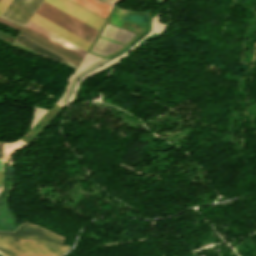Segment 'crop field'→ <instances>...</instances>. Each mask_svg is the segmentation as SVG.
I'll use <instances>...</instances> for the list:
<instances>
[{
	"instance_id": "8a807250",
	"label": "crop field",
	"mask_w": 256,
	"mask_h": 256,
	"mask_svg": "<svg viewBox=\"0 0 256 256\" xmlns=\"http://www.w3.org/2000/svg\"><path fill=\"white\" fill-rule=\"evenodd\" d=\"M57 235L22 222L18 233L0 232V251L6 256H60L68 247Z\"/></svg>"
},
{
	"instance_id": "ac0d7876",
	"label": "crop field",
	"mask_w": 256,
	"mask_h": 256,
	"mask_svg": "<svg viewBox=\"0 0 256 256\" xmlns=\"http://www.w3.org/2000/svg\"><path fill=\"white\" fill-rule=\"evenodd\" d=\"M35 13L91 43L98 31L44 1Z\"/></svg>"
},
{
	"instance_id": "34b2d1b8",
	"label": "crop field",
	"mask_w": 256,
	"mask_h": 256,
	"mask_svg": "<svg viewBox=\"0 0 256 256\" xmlns=\"http://www.w3.org/2000/svg\"><path fill=\"white\" fill-rule=\"evenodd\" d=\"M136 33L120 29L111 25H106L105 29L101 33V36H104L106 38L112 39L114 41L120 42L124 44L126 41H128L131 37H133ZM121 45L103 40L98 38L95 45L91 49V52L100 54V55H108L111 52L118 49Z\"/></svg>"
},
{
	"instance_id": "412701ff",
	"label": "crop field",
	"mask_w": 256,
	"mask_h": 256,
	"mask_svg": "<svg viewBox=\"0 0 256 256\" xmlns=\"http://www.w3.org/2000/svg\"><path fill=\"white\" fill-rule=\"evenodd\" d=\"M42 0H12L1 17L21 26L27 22Z\"/></svg>"
},
{
	"instance_id": "f4fd0767",
	"label": "crop field",
	"mask_w": 256,
	"mask_h": 256,
	"mask_svg": "<svg viewBox=\"0 0 256 256\" xmlns=\"http://www.w3.org/2000/svg\"><path fill=\"white\" fill-rule=\"evenodd\" d=\"M88 25L99 30L104 19L88 12L87 10L69 2L68 0H44Z\"/></svg>"
},
{
	"instance_id": "dd49c442",
	"label": "crop field",
	"mask_w": 256,
	"mask_h": 256,
	"mask_svg": "<svg viewBox=\"0 0 256 256\" xmlns=\"http://www.w3.org/2000/svg\"><path fill=\"white\" fill-rule=\"evenodd\" d=\"M20 35L28 38L29 40L39 44L40 46L48 49L49 51L57 54L58 56L68 60L69 62L77 66L82 59L25 27Z\"/></svg>"
},
{
	"instance_id": "e52e79f7",
	"label": "crop field",
	"mask_w": 256,
	"mask_h": 256,
	"mask_svg": "<svg viewBox=\"0 0 256 256\" xmlns=\"http://www.w3.org/2000/svg\"><path fill=\"white\" fill-rule=\"evenodd\" d=\"M30 21L40 25L41 27L51 31L52 33L64 38L65 40L75 44L76 46H78L86 51L91 44L35 13Z\"/></svg>"
},
{
	"instance_id": "d8731c3e",
	"label": "crop field",
	"mask_w": 256,
	"mask_h": 256,
	"mask_svg": "<svg viewBox=\"0 0 256 256\" xmlns=\"http://www.w3.org/2000/svg\"><path fill=\"white\" fill-rule=\"evenodd\" d=\"M25 27L33 30L34 32L44 36L45 38L53 41L54 43L62 46L63 48L73 52L74 54H76L80 57H83L84 53L86 52V51L76 47L75 45L65 41L64 39L52 34L51 32L41 28L40 26L30 22V21L28 22V24Z\"/></svg>"
},
{
	"instance_id": "5a996713",
	"label": "crop field",
	"mask_w": 256,
	"mask_h": 256,
	"mask_svg": "<svg viewBox=\"0 0 256 256\" xmlns=\"http://www.w3.org/2000/svg\"><path fill=\"white\" fill-rule=\"evenodd\" d=\"M79 5L91 10L92 12L106 18L112 7L99 0H72Z\"/></svg>"
},
{
	"instance_id": "3316defc",
	"label": "crop field",
	"mask_w": 256,
	"mask_h": 256,
	"mask_svg": "<svg viewBox=\"0 0 256 256\" xmlns=\"http://www.w3.org/2000/svg\"><path fill=\"white\" fill-rule=\"evenodd\" d=\"M15 41H17V42H19V43H21V44H23V45H25V46L35 50V51H37V52H39V53H41V54H43V55H45V56H47V57L57 61V62H61V63L68 64V65H71V66H75V65L67 62L66 60H64V59L54 55L53 53L43 49L42 47H40V46L30 42L29 40H27V39H25V38H23V37H21L19 35H18V37L16 38ZM75 67H77V66H75Z\"/></svg>"
},
{
	"instance_id": "28ad6ade",
	"label": "crop field",
	"mask_w": 256,
	"mask_h": 256,
	"mask_svg": "<svg viewBox=\"0 0 256 256\" xmlns=\"http://www.w3.org/2000/svg\"><path fill=\"white\" fill-rule=\"evenodd\" d=\"M0 23H3V24H5V25H7V26H10V27H12V28H15V29H17V30H21V26H19V25H16V24H14V23H11V22H9V21H6V20H4V19H1L0 18Z\"/></svg>"
},
{
	"instance_id": "d1516ede",
	"label": "crop field",
	"mask_w": 256,
	"mask_h": 256,
	"mask_svg": "<svg viewBox=\"0 0 256 256\" xmlns=\"http://www.w3.org/2000/svg\"><path fill=\"white\" fill-rule=\"evenodd\" d=\"M10 1L11 0H0V14L3 12Z\"/></svg>"
},
{
	"instance_id": "22f410ed",
	"label": "crop field",
	"mask_w": 256,
	"mask_h": 256,
	"mask_svg": "<svg viewBox=\"0 0 256 256\" xmlns=\"http://www.w3.org/2000/svg\"><path fill=\"white\" fill-rule=\"evenodd\" d=\"M101 1H103L104 3H106V4H108V5L112 6V7H113V5H114L115 3L118 2V1H116V0H101Z\"/></svg>"
},
{
	"instance_id": "cbeb9de0",
	"label": "crop field",
	"mask_w": 256,
	"mask_h": 256,
	"mask_svg": "<svg viewBox=\"0 0 256 256\" xmlns=\"http://www.w3.org/2000/svg\"><path fill=\"white\" fill-rule=\"evenodd\" d=\"M0 171H2V160H0Z\"/></svg>"
},
{
	"instance_id": "5142ce71",
	"label": "crop field",
	"mask_w": 256,
	"mask_h": 256,
	"mask_svg": "<svg viewBox=\"0 0 256 256\" xmlns=\"http://www.w3.org/2000/svg\"><path fill=\"white\" fill-rule=\"evenodd\" d=\"M1 180H2V172H0V182H1Z\"/></svg>"
},
{
	"instance_id": "d9b57169",
	"label": "crop field",
	"mask_w": 256,
	"mask_h": 256,
	"mask_svg": "<svg viewBox=\"0 0 256 256\" xmlns=\"http://www.w3.org/2000/svg\"><path fill=\"white\" fill-rule=\"evenodd\" d=\"M0 159H2V151H0Z\"/></svg>"
},
{
	"instance_id": "733c2abd",
	"label": "crop field",
	"mask_w": 256,
	"mask_h": 256,
	"mask_svg": "<svg viewBox=\"0 0 256 256\" xmlns=\"http://www.w3.org/2000/svg\"><path fill=\"white\" fill-rule=\"evenodd\" d=\"M0 150H2L1 143H0Z\"/></svg>"
},
{
	"instance_id": "4a817a6b",
	"label": "crop field",
	"mask_w": 256,
	"mask_h": 256,
	"mask_svg": "<svg viewBox=\"0 0 256 256\" xmlns=\"http://www.w3.org/2000/svg\"><path fill=\"white\" fill-rule=\"evenodd\" d=\"M0 256H2V255L0 254Z\"/></svg>"
},
{
	"instance_id": "bc2a9ffb",
	"label": "crop field",
	"mask_w": 256,
	"mask_h": 256,
	"mask_svg": "<svg viewBox=\"0 0 256 256\" xmlns=\"http://www.w3.org/2000/svg\"><path fill=\"white\" fill-rule=\"evenodd\" d=\"M120 1V0H119Z\"/></svg>"
}]
</instances>
